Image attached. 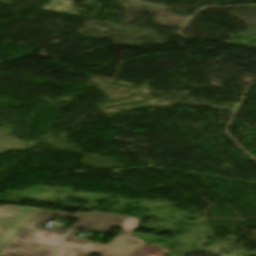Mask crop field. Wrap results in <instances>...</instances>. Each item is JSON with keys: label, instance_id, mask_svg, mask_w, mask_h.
Listing matches in <instances>:
<instances>
[{"label": "crop field", "instance_id": "crop-field-1", "mask_svg": "<svg viewBox=\"0 0 256 256\" xmlns=\"http://www.w3.org/2000/svg\"><path fill=\"white\" fill-rule=\"evenodd\" d=\"M55 213L79 219L70 229L72 232L51 256H87L97 243L80 242L74 236L79 227L105 232L111 227L134 231L139 219L96 212H52L41 209L33 220L14 238L0 256H48L69 230L42 227Z\"/></svg>", "mask_w": 256, "mask_h": 256}, {"label": "crop field", "instance_id": "crop-field-2", "mask_svg": "<svg viewBox=\"0 0 256 256\" xmlns=\"http://www.w3.org/2000/svg\"><path fill=\"white\" fill-rule=\"evenodd\" d=\"M39 210L15 205L0 206V253Z\"/></svg>", "mask_w": 256, "mask_h": 256}, {"label": "crop field", "instance_id": "crop-field-3", "mask_svg": "<svg viewBox=\"0 0 256 256\" xmlns=\"http://www.w3.org/2000/svg\"><path fill=\"white\" fill-rule=\"evenodd\" d=\"M145 243L129 232L122 231L107 245L99 244L92 253H98L99 256H132Z\"/></svg>", "mask_w": 256, "mask_h": 256}, {"label": "crop field", "instance_id": "crop-field-4", "mask_svg": "<svg viewBox=\"0 0 256 256\" xmlns=\"http://www.w3.org/2000/svg\"><path fill=\"white\" fill-rule=\"evenodd\" d=\"M167 251L161 250L151 244H147L134 256H163Z\"/></svg>", "mask_w": 256, "mask_h": 256}]
</instances>
